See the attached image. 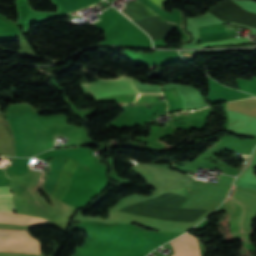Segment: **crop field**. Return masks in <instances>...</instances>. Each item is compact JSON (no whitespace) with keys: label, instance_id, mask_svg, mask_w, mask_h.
Instances as JSON below:
<instances>
[{"label":"crop field","instance_id":"crop-field-6","mask_svg":"<svg viewBox=\"0 0 256 256\" xmlns=\"http://www.w3.org/2000/svg\"><path fill=\"white\" fill-rule=\"evenodd\" d=\"M249 42H253V41H250L248 37H245V38L238 37V38H230V39H225V40L215 41V42H206L199 45L203 47H210V46H216V45L249 43Z\"/></svg>","mask_w":256,"mask_h":256},{"label":"crop field","instance_id":"crop-field-5","mask_svg":"<svg viewBox=\"0 0 256 256\" xmlns=\"http://www.w3.org/2000/svg\"><path fill=\"white\" fill-rule=\"evenodd\" d=\"M0 211L14 212L11 191L8 186L0 187Z\"/></svg>","mask_w":256,"mask_h":256},{"label":"crop field","instance_id":"crop-field-1","mask_svg":"<svg viewBox=\"0 0 256 256\" xmlns=\"http://www.w3.org/2000/svg\"><path fill=\"white\" fill-rule=\"evenodd\" d=\"M82 91L91 95L94 99L111 94H139L140 92L134 86L131 77L121 76L118 79L106 80L97 79L91 83L81 84Z\"/></svg>","mask_w":256,"mask_h":256},{"label":"crop field","instance_id":"crop-field-4","mask_svg":"<svg viewBox=\"0 0 256 256\" xmlns=\"http://www.w3.org/2000/svg\"><path fill=\"white\" fill-rule=\"evenodd\" d=\"M188 199H186L183 196L180 195H174V194H162L154 199L148 200L150 202H156V203H162V204H170V205H178V206H184V204L187 202Z\"/></svg>","mask_w":256,"mask_h":256},{"label":"crop field","instance_id":"crop-field-8","mask_svg":"<svg viewBox=\"0 0 256 256\" xmlns=\"http://www.w3.org/2000/svg\"><path fill=\"white\" fill-rule=\"evenodd\" d=\"M233 187H234V186H232V189H233ZM232 189H231V191H232ZM231 191H230V194H231ZM230 194H229V196H230Z\"/></svg>","mask_w":256,"mask_h":256},{"label":"crop field","instance_id":"crop-field-3","mask_svg":"<svg viewBox=\"0 0 256 256\" xmlns=\"http://www.w3.org/2000/svg\"><path fill=\"white\" fill-rule=\"evenodd\" d=\"M76 164H77L76 161L68 159L66 165L64 166V168L61 172V176H60L58 185L51 195L55 199L60 201L64 197V195L69 187L71 174H72Z\"/></svg>","mask_w":256,"mask_h":256},{"label":"crop field","instance_id":"crop-field-2","mask_svg":"<svg viewBox=\"0 0 256 256\" xmlns=\"http://www.w3.org/2000/svg\"><path fill=\"white\" fill-rule=\"evenodd\" d=\"M174 256H200L196 239L188 234H183L171 241Z\"/></svg>","mask_w":256,"mask_h":256},{"label":"crop field","instance_id":"crop-field-7","mask_svg":"<svg viewBox=\"0 0 256 256\" xmlns=\"http://www.w3.org/2000/svg\"><path fill=\"white\" fill-rule=\"evenodd\" d=\"M153 2H155L156 4H158L159 6L164 2V0H152ZM122 12V11H121ZM123 13V12H122ZM126 15V14H125ZM127 16V15H126ZM128 17V16H127ZM132 20V19H131Z\"/></svg>","mask_w":256,"mask_h":256}]
</instances>
